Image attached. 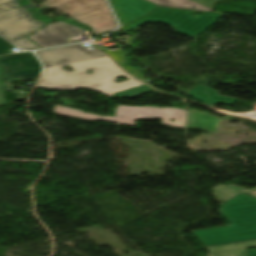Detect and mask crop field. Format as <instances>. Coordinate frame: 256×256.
<instances>
[{"instance_id": "8a807250", "label": "crop field", "mask_w": 256, "mask_h": 256, "mask_svg": "<svg viewBox=\"0 0 256 256\" xmlns=\"http://www.w3.org/2000/svg\"><path fill=\"white\" fill-rule=\"evenodd\" d=\"M45 65L44 76L38 87L50 90H75L86 87L108 97L115 92L143 85L120 70L110 58L96 49L89 50L82 44L38 52ZM70 65L75 71L66 72L63 66ZM92 69V74L84 72ZM128 80L116 83L118 77Z\"/></svg>"}, {"instance_id": "ac0d7876", "label": "crop field", "mask_w": 256, "mask_h": 256, "mask_svg": "<svg viewBox=\"0 0 256 256\" xmlns=\"http://www.w3.org/2000/svg\"><path fill=\"white\" fill-rule=\"evenodd\" d=\"M220 210L231 226L191 231L204 246L256 240V198L241 193Z\"/></svg>"}, {"instance_id": "34b2d1b8", "label": "crop field", "mask_w": 256, "mask_h": 256, "mask_svg": "<svg viewBox=\"0 0 256 256\" xmlns=\"http://www.w3.org/2000/svg\"><path fill=\"white\" fill-rule=\"evenodd\" d=\"M55 113L60 116L72 117L86 121L105 120L135 127V120L163 118V124L175 128H183L185 110L176 108L135 107L119 105L116 109V118L83 113L80 110L56 105ZM170 119H175L174 123Z\"/></svg>"}, {"instance_id": "412701ff", "label": "crop field", "mask_w": 256, "mask_h": 256, "mask_svg": "<svg viewBox=\"0 0 256 256\" xmlns=\"http://www.w3.org/2000/svg\"><path fill=\"white\" fill-rule=\"evenodd\" d=\"M194 12L200 11L160 7L122 28V30L124 32H128L137 28L144 22L159 21L172 25L179 33L195 37L213 25L218 18L223 15L218 13L201 12L203 14L198 18H195L192 16Z\"/></svg>"}, {"instance_id": "f4fd0767", "label": "crop field", "mask_w": 256, "mask_h": 256, "mask_svg": "<svg viewBox=\"0 0 256 256\" xmlns=\"http://www.w3.org/2000/svg\"><path fill=\"white\" fill-rule=\"evenodd\" d=\"M44 23L34 20L28 9L19 7L16 0H0V34L24 50L39 47L24 36L43 27Z\"/></svg>"}, {"instance_id": "dd49c442", "label": "crop field", "mask_w": 256, "mask_h": 256, "mask_svg": "<svg viewBox=\"0 0 256 256\" xmlns=\"http://www.w3.org/2000/svg\"><path fill=\"white\" fill-rule=\"evenodd\" d=\"M45 5L58 7L73 19L91 26L96 35L116 28L105 0H48Z\"/></svg>"}, {"instance_id": "e52e79f7", "label": "crop field", "mask_w": 256, "mask_h": 256, "mask_svg": "<svg viewBox=\"0 0 256 256\" xmlns=\"http://www.w3.org/2000/svg\"><path fill=\"white\" fill-rule=\"evenodd\" d=\"M5 69L4 77L11 79L18 77L20 81L36 78L41 66L31 53L5 56L0 59Z\"/></svg>"}, {"instance_id": "d8731c3e", "label": "crop field", "mask_w": 256, "mask_h": 256, "mask_svg": "<svg viewBox=\"0 0 256 256\" xmlns=\"http://www.w3.org/2000/svg\"><path fill=\"white\" fill-rule=\"evenodd\" d=\"M84 29L69 25L64 22L53 23L45 26L36 34L29 36L42 48L67 44L66 38L79 36Z\"/></svg>"}, {"instance_id": "5a996713", "label": "crop field", "mask_w": 256, "mask_h": 256, "mask_svg": "<svg viewBox=\"0 0 256 256\" xmlns=\"http://www.w3.org/2000/svg\"><path fill=\"white\" fill-rule=\"evenodd\" d=\"M122 26L160 7L146 0H110Z\"/></svg>"}, {"instance_id": "3316defc", "label": "crop field", "mask_w": 256, "mask_h": 256, "mask_svg": "<svg viewBox=\"0 0 256 256\" xmlns=\"http://www.w3.org/2000/svg\"><path fill=\"white\" fill-rule=\"evenodd\" d=\"M220 118L202 112L188 111L187 129H201L215 133L220 123Z\"/></svg>"}, {"instance_id": "28ad6ade", "label": "crop field", "mask_w": 256, "mask_h": 256, "mask_svg": "<svg viewBox=\"0 0 256 256\" xmlns=\"http://www.w3.org/2000/svg\"><path fill=\"white\" fill-rule=\"evenodd\" d=\"M187 94L210 106H213L217 103L231 105L237 100L236 98L220 96L216 91L201 84H198Z\"/></svg>"}, {"instance_id": "d1516ede", "label": "crop field", "mask_w": 256, "mask_h": 256, "mask_svg": "<svg viewBox=\"0 0 256 256\" xmlns=\"http://www.w3.org/2000/svg\"><path fill=\"white\" fill-rule=\"evenodd\" d=\"M247 247H256V241L207 248L209 256H248Z\"/></svg>"}, {"instance_id": "22f410ed", "label": "crop field", "mask_w": 256, "mask_h": 256, "mask_svg": "<svg viewBox=\"0 0 256 256\" xmlns=\"http://www.w3.org/2000/svg\"><path fill=\"white\" fill-rule=\"evenodd\" d=\"M213 190H215L213 192V195L217 196L216 200L222 203L226 202L227 200L231 199L232 197H234L235 195L241 192L256 197V190L252 191V190L234 186L232 184L227 187L220 185L214 188Z\"/></svg>"}, {"instance_id": "cbeb9de0", "label": "crop field", "mask_w": 256, "mask_h": 256, "mask_svg": "<svg viewBox=\"0 0 256 256\" xmlns=\"http://www.w3.org/2000/svg\"><path fill=\"white\" fill-rule=\"evenodd\" d=\"M148 1H151L161 6H167V7H177V8L200 10V11H208V12L212 11L211 9L203 5H200L192 0H148Z\"/></svg>"}, {"instance_id": "5142ce71", "label": "crop field", "mask_w": 256, "mask_h": 256, "mask_svg": "<svg viewBox=\"0 0 256 256\" xmlns=\"http://www.w3.org/2000/svg\"><path fill=\"white\" fill-rule=\"evenodd\" d=\"M108 55H110L117 63L118 65L123 68L125 71L130 73L135 78L139 79L140 81L147 83V79H145L142 74L137 71L136 69L126 65V58L122 50L119 51H113V52H107Z\"/></svg>"}, {"instance_id": "d9b57169", "label": "crop field", "mask_w": 256, "mask_h": 256, "mask_svg": "<svg viewBox=\"0 0 256 256\" xmlns=\"http://www.w3.org/2000/svg\"><path fill=\"white\" fill-rule=\"evenodd\" d=\"M150 90H152L151 87H149L147 85H144V86H141V87H138V88H135V89H131V90H128V91L118 93L117 95L114 96V99H117V98L123 99L125 97L134 98V97L139 96L143 93H146Z\"/></svg>"}, {"instance_id": "733c2abd", "label": "crop field", "mask_w": 256, "mask_h": 256, "mask_svg": "<svg viewBox=\"0 0 256 256\" xmlns=\"http://www.w3.org/2000/svg\"><path fill=\"white\" fill-rule=\"evenodd\" d=\"M12 48H14L12 45L0 38V55L9 53Z\"/></svg>"}, {"instance_id": "4a817a6b", "label": "crop field", "mask_w": 256, "mask_h": 256, "mask_svg": "<svg viewBox=\"0 0 256 256\" xmlns=\"http://www.w3.org/2000/svg\"><path fill=\"white\" fill-rule=\"evenodd\" d=\"M0 57H2V56H0ZM2 74H3V70H2V68L0 66V79L2 78ZM2 86H3V82L0 81V105L6 103L5 102V98H4V94H3V90H2Z\"/></svg>"}, {"instance_id": "bc2a9ffb", "label": "crop field", "mask_w": 256, "mask_h": 256, "mask_svg": "<svg viewBox=\"0 0 256 256\" xmlns=\"http://www.w3.org/2000/svg\"><path fill=\"white\" fill-rule=\"evenodd\" d=\"M248 254L249 256H256V250H249Z\"/></svg>"}]
</instances>
